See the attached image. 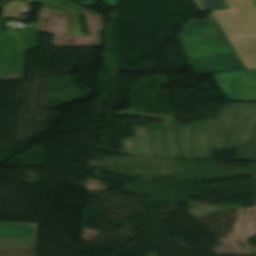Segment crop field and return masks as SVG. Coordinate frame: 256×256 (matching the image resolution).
Masks as SVG:
<instances>
[{
	"label": "crop field",
	"instance_id": "1",
	"mask_svg": "<svg viewBox=\"0 0 256 256\" xmlns=\"http://www.w3.org/2000/svg\"><path fill=\"white\" fill-rule=\"evenodd\" d=\"M180 38L197 75L245 69L215 19L191 21Z\"/></svg>",
	"mask_w": 256,
	"mask_h": 256
},
{
	"label": "crop field",
	"instance_id": "2",
	"mask_svg": "<svg viewBox=\"0 0 256 256\" xmlns=\"http://www.w3.org/2000/svg\"><path fill=\"white\" fill-rule=\"evenodd\" d=\"M27 3L0 2L2 18L19 19ZM21 52L16 32L2 33L0 23V81L19 80Z\"/></svg>",
	"mask_w": 256,
	"mask_h": 256
},
{
	"label": "crop field",
	"instance_id": "3",
	"mask_svg": "<svg viewBox=\"0 0 256 256\" xmlns=\"http://www.w3.org/2000/svg\"><path fill=\"white\" fill-rule=\"evenodd\" d=\"M230 10L215 11L231 38L256 36V8L252 0H227Z\"/></svg>",
	"mask_w": 256,
	"mask_h": 256
},
{
	"label": "crop field",
	"instance_id": "4",
	"mask_svg": "<svg viewBox=\"0 0 256 256\" xmlns=\"http://www.w3.org/2000/svg\"><path fill=\"white\" fill-rule=\"evenodd\" d=\"M214 76L230 100L256 101V69Z\"/></svg>",
	"mask_w": 256,
	"mask_h": 256
},
{
	"label": "crop field",
	"instance_id": "5",
	"mask_svg": "<svg viewBox=\"0 0 256 256\" xmlns=\"http://www.w3.org/2000/svg\"><path fill=\"white\" fill-rule=\"evenodd\" d=\"M43 4L69 15L71 25L68 26L71 36H82L79 17L83 15L81 7L67 0H31Z\"/></svg>",
	"mask_w": 256,
	"mask_h": 256
},
{
	"label": "crop field",
	"instance_id": "6",
	"mask_svg": "<svg viewBox=\"0 0 256 256\" xmlns=\"http://www.w3.org/2000/svg\"><path fill=\"white\" fill-rule=\"evenodd\" d=\"M38 223L0 222V237L36 238Z\"/></svg>",
	"mask_w": 256,
	"mask_h": 256
},
{
	"label": "crop field",
	"instance_id": "7",
	"mask_svg": "<svg viewBox=\"0 0 256 256\" xmlns=\"http://www.w3.org/2000/svg\"><path fill=\"white\" fill-rule=\"evenodd\" d=\"M38 239L0 238V253L36 254Z\"/></svg>",
	"mask_w": 256,
	"mask_h": 256
},
{
	"label": "crop field",
	"instance_id": "8",
	"mask_svg": "<svg viewBox=\"0 0 256 256\" xmlns=\"http://www.w3.org/2000/svg\"><path fill=\"white\" fill-rule=\"evenodd\" d=\"M231 41L247 67L249 69L256 68V37Z\"/></svg>",
	"mask_w": 256,
	"mask_h": 256
},
{
	"label": "crop field",
	"instance_id": "9",
	"mask_svg": "<svg viewBox=\"0 0 256 256\" xmlns=\"http://www.w3.org/2000/svg\"><path fill=\"white\" fill-rule=\"evenodd\" d=\"M36 33V25H31V30H19L22 50L34 49Z\"/></svg>",
	"mask_w": 256,
	"mask_h": 256
},
{
	"label": "crop field",
	"instance_id": "10",
	"mask_svg": "<svg viewBox=\"0 0 256 256\" xmlns=\"http://www.w3.org/2000/svg\"><path fill=\"white\" fill-rule=\"evenodd\" d=\"M202 9L228 8L224 0H198Z\"/></svg>",
	"mask_w": 256,
	"mask_h": 256
},
{
	"label": "crop field",
	"instance_id": "11",
	"mask_svg": "<svg viewBox=\"0 0 256 256\" xmlns=\"http://www.w3.org/2000/svg\"><path fill=\"white\" fill-rule=\"evenodd\" d=\"M246 160L256 161V135H255V138L252 142V145L250 147V150H249V153H248V156H247Z\"/></svg>",
	"mask_w": 256,
	"mask_h": 256
},
{
	"label": "crop field",
	"instance_id": "12",
	"mask_svg": "<svg viewBox=\"0 0 256 256\" xmlns=\"http://www.w3.org/2000/svg\"><path fill=\"white\" fill-rule=\"evenodd\" d=\"M0 256H36V255H23V254H0Z\"/></svg>",
	"mask_w": 256,
	"mask_h": 256
},
{
	"label": "crop field",
	"instance_id": "13",
	"mask_svg": "<svg viewBox=\"0 0 256 256\" xmlns=\"http://www.w3.org/2000/svg\"><path fill=\"white\" fill-rule=\"evenodd\" d=\"M14 1H23V2H27L28 0H14Z\"/></svg>",
	"mask_w": 256,
	"mask_h": 256
},
{
	"label": "crop field",
	"instance_id": "14",
	"mask_svg": "<svg viewBox=\"0 0 256 256\" xmlns=\"http://www.w3.org/2000/svg\"><path fill=\"white\" fill-rule=\"evenodd\" d=\"M253 2H254V4H255V6H256V0H253Z\"/></svg>",
	"mask_w": 256,
	"mask_h": 256
}]
</instances>
